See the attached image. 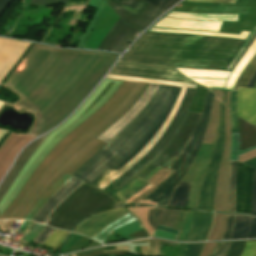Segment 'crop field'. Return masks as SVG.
<instances>
[{"label": "crop field", "instance_id": "30", "mask_svg": "<svg viewBox=\"0 0 256 256\" xmlns=\"http://www.w3.org/2000/svg\"><path fill=\"white\" fill-rule=\"evenodd\" d=\"M256 71V56L253 58V60L250 62V64L247 66V68L242 73L240 79L237 81L235 85V89L237 87H246L247 83L249 82L250 78Z\"/></svg>", "mask_w": 256, "mask_h": 256}, {"label": "crop field", "instance_id": "20", "mask_svg": "<svg viewBox=\"0 0 256 256\" xmlns=\"http://www.w3.org/2000/svg\"><path fill=\"white\" fill-rule=\"evenodd\" d=\"M162 167L158 166L155 170H153L149 175H147L145 178L141 179V178H136L133 181H131L129 184H127L125 187H123L121 190H119L117 193H115L122 201H126L128 198H130L132 195H134L135 193H137L139 190H141L143 187H145L146 185L150 186L151 185L149 183H147L146 181L155 173L157 172L159 169H161ZM156 174V173H155ZM149 187H145L143 188L141 191H139L137 194H135L134 196H132L130 199H128L126 202H130L131 200H133L135 197H137L139 194H141L143 191H145L146 189H148Z\"/></svg>", "mask_w": 256, "mask_h": 256}, {"label": "crop field", "instance_id": "41", "mask_svg": "<svg viewBox=\"0 0 256 256\" xmlns=\"http://www.w3.org/2000/svg\"><path fill=\"white\" fill-rule=\"evenodd\" d=\"M251 212L256 215V169H254L253 183H252V199Z\"/></svg>", "mask_w": 256, "mask_h": 256}, {"label": "crop field", "instance_id": "47", "mask_svg": "<svg viewBox=\"0 0 256 256\" xmlns=\"http://www.w3.org/2000/svg\"><path fill=\"white\" fill-rule=\"evenodd\" d=\"M230 120H231V129L232 133H238V122L237 116L230 112Z\"/></svg>", "mask_w": 256, "mask_h": 256}, {"label": "crop field", "instance_id": "38", "mask_svg": "<svg viewBox=\"0 0 256 256\" xmlns=\"http://www.w3.org/2000/svg\"><path fill=\"white\" fill-rule=\"evenodd\" d=\"M163 10L169 9L173 4H175L178 0H145Z\"/></svg>", "mask_w": 256, "mask_h": 256}, {"label": "crop field", "instance_id": "48", "mask_svg": "<svg viewBox=\"0 0 256 256\" xmlns=\"http://www.w3.org/2000/svg\"><path fill=\"white\" fill-rule=\"evenodd\" d=\"M248 238H256V218L252 217Z\"/></svg>", "mask_w": 256, "mask_h": 256}, {"label": "crop field", "instance_id": "9", "mask_svg": "<svg viewBox=\"0 0 256 256\" xmlns=\"http://www.w3.org/2000/svg\"><path fill=\"white\" fill-rule=\"evenodd\" d=\"M110 74L161 79L168 81L190 82L170 67L138 65L117 62ZM192 83V82H190Z\"/></svg>", "mask_w": 256, "mask_h": 256}, {"label": "crop field", "instance_id": "8", "mask_svg": "<svg viewBox=\"0 0 256 256\" xmlns=\"http://www.w3.org/2000/svg\"><path fill=\"white\" fill-rule=\"evenodd\" d=\"M112 10L126 23L143 30L151 21L165 12L143 0H109Z\"/></svg>", "mask_w": 256, "mask_h": 256}, {"label": "crop field", "instance_id": "15", "mask_svg": "<svg viewBox=\"0 0 256 256\" xmlns=\"http://www.w3.org/2000/svg\"><path fill=\"white\" fill-rule=\"evenodd\" d=\"M49 134V133H48ZM44 135L37 139L32 144L28 145L23 152L20 154L12 168L10 169L9 173L3 180V182L0 185V200L4 197L14 180L16 179L17 175L31 156V154L35 151V149L40 145V143L46 138L48 135Z\"/></svg>", "mask_w": 256, "mask_h": 256}, {"label": "crop field", "instance_id": "17", "mask_svg": "<svg viewBox=\"0 0 256 256\" xmlns=\"http://www.w3.org/2000/svg\"><path fill=\"white\" fill-rule=\"evenodd\" d=\"M79 184L80 181L72 177L42 206V208L33 217L32 221L42 223L53 211V209L58 205V203L63 198H65L71 191H73Z\"/></svg>", "mask_w": 256, "mask_h": 256}, {"label": "crop field", "instance_id": "24", "mask_svg": "<svg viewBox=\"0 0 256 256\" xmlns=\"http://www.w3.org/2000/svg\"><path fill=\"white\" fill-rule=\"evenodd\" d=\"M237 161H230L228 170V212L235 208V175Z\"/></svg>", "mask_w": 256, "mask_h": 256}, {"label": "crop field", "instance_id": "36", "mask_svg": "<svg viewBox=\"0 0 256 256\" xmlns=\"http://www.w3.org/2000/svg\"><path fill=\"white\" fill-rule=\"evenodd\" d=\"M161 244L172 245V246L175 245L173 243H169V242H165V241H161V240H153V239H151L150 245H149V253H148V255H150V256H159Z\"/></svg>", "mask_w": 256, "mask_h": 256}, {"label": "crop field", "instance_id": "63", "mask_svg": "<svg viewBox=\"0 0 256 256\" xmlns=\"http://www.w3.org/2000/svg\"><path fill=\"white\" fill-rule=\"evenodd\" d=\"M150 29H151V28H150ZM147 31H148V30H147ZM149 32H151V31H149ZM250 34H251V32L249 33V35L247 36V38L250 36ZM247 38H246V39H247ZM246 39H245V40H246Z\"/></svg>", "mask_w": 256, "mask_h": 256}, {"label": "crop field", "instance_id": "64", "mask_svg": "<svg viewBox=\"0 0 256 256\" xmlns=\"http://www.w3.org/2000/svg\"><path fill=\"white\" fill-rule=\"evenodd\" d=\"M254 87H256V84H255V86Z\"/></svg>", "mask_w": 256, "mask_h": 256}, {"label": "crop field", "instance_id": "32", "mask_svg": "<svg viewBox=\"0 0 256 256\" xmlns=\"http://www.w3.org/2000/svg\"><path fill=\"white\" fill-rule=\"evenodd\" d=\"M204 243L185 244L180 252L182 256H198ZM179 255V256H180Z\"/></svg>", "mask_w": 256, "mask_h": 256}, {"label": "crop field", "instance_id": "31", "mask_svg": "<svg viewBox=\"0 0 256 256\" xmlns=\"http://www.w3.org/2000/svg\"><path fill=\"white\" fill-rule=\"evenodd\" d=\"M193 213H194V211H187L186 212L183 227H182L181 233L178 236L177 240L187 241L188 235H189V230H190L192 219H193Z\"/></svg>", "mask_w": 256, "mask_h": 256}, {"label": "crop field", "instance_id": "37", "mask_svg": "<svg viewBox=\"0 0 256 256\" xmlns=\"http://www.w3.org/2000/svg\"><path fill=\"white\" fill-rule=\"evenodd\" d=\"M246 241L232 242L228 253L225 256H240Z\"/></svg>", "mask_w": 256, "mask_h": 256}, {"label": "crop field", "instance_id": "3", "mask_svg": "<svg viewBox=\"0 0 256 256\" xmlns=\"http://www.w3.org/2000/svg\"><path fill=\"white\" fill-rule=\"evenodd\" d=\"M116 202L110 195L83 182L55 209L45 224L70 231L84 217Z\"/></svg>", "mask_w": 256, "mask_h": 256}, {"label": "crop field", "instance_id": "22", "mask_svg": "<svg viewBox=\"0 0 256 256\" xmlns=\"http://www.w3.org/2000/svg\"><path fill=\"white\" fill-rule=\"evenodd\" d=\"M132 214V213H131ZM129 212L127 214H125L124 216H122L121 218H119L118 220L114 221L113 223H111L110 225L106 226L105 228H103L101 231H99L97 234H95L93 237V239L99 241V242H103V240L109 235L111 234L113 231V229H116L126 223H129L133 220L138 219L135 215H131Z\"/></svg>", "mask_w": 256, "mask_h": 256}, {"label": "crop field", "instance_id": "28", "mask_svg": "<svg viewBox=\"0 0 256 256\" xmlns=\"http://www.w3.org/2000/svg\"><path fill=\"white\" fill-rule=\"evenodd\" d=\"M106 4V1L105 0H101L100 2V5L98 7V9L96 10V12L94 13L93 17L91 18V20L89 21L87 27L85 28L82 36L80 37L76 47H79V48H82L83 45L85 44L87 38L89 37L94 25L97 23L103 9H104V6Z\"/></svg>", "mask_w": 256, "mask_h": 256}, {"label": "crop field", "instance_id": "19", "mask_svg": "<svg viewBox=\"0 0 256 256\" xmlns=\"http://www.w3.org/2000/svg\"><path fill=\"white\" fill-rule=\"evenodd\" d=\"M181 87H178L177 92L171 102V104L169 105L166 113L164 114V116L162 117V119L160 120V122L158 123V125L154 128V130L146 137V139L127 157L125 158L121 163H119L116 167H114L112 170H110L106 175L109 177L111 176L113 173H115L117 170H119L123 165H125L132 157H134L149 141L150 139L157 133L159 127L162 125V123L165 121V119L168 117L174 103L175 100L179 94ZM161 128V127H160ZM108 177L104 176L102 177L99 181H97L95 184H93L94 186H98L99 184H101L103 181H105Z\"/></svg>", "mask_w": 256, "mask_h": 256}, {"label": "crop field", "instance_id": "62", "mask_svg": "<svg viewBox=\"0 0 256 256\" xmlns=\"http://www.w3.org/2000/svg\"><path fill=\"white\" fill-rule=\"evenodd\" d=\"M170 12H171V11H170ZM170 12H168L167 14H169ZM167 14H166V15H167ZM166 15H164V16H166ZM164 16H163V17H164ZM163 17H162V18H163ZM162 18H160L157 22H159ZM157 22H156V23H157ZM156 23H155V24H156ZM155 24H154V25H155ZM154 25H153V26H154Z\"/></svg>", "mask_w": 256, "mask_h": 256}, {"label": "crop field", "instance_id": "57", "mask_svg": "<svg viewBox=\"0 0 256 256\" xmlns=\"http://www.w3.org/2000/svg\"><path fill=\"white\" fill-rule=\"evenodd\" d=\"M255 54H256V52L254 53V55H255ZM254 55H253V56H254ZM253 56L251 57V59L253 58ZM251 59L248 61V63L251 61ZM248 63L245 65L244 69L246 68V66L248 65ZM244 69H243V70H244ZM243 70H242V72H243ZM177 71L180 72L179 70H177ZM242 72H241V73H242ZM180 73H181V72H180ZM241 73H240V75H241ZM230 74H231V73H230ZM240 75H239V76H240ZM229 76H230V75H229ZM228 78H229V77H228ZM212 79H213V78H212ZM227 80H228V79H227ZM192 81H193V80H192ZM195 83H196V82H195ZM201 86H202V85H201ZM209 89H216V88H209ZM233 89H234V88H233ZM217 90H223V89H217ZM226 91H230V90H226Z\"/></svg>", "mask_w": 256, "mask_h": 256}, {"label": "crop field", "instance_id": "51", "mask_svg": "<svg viewBox=\"0 0 256 256\" xmlns=\"http://www.w3.org/2000/svg\"><path fill=\"white\" fill-rule=\"evenodd\" d=\"M256 33L253 35V37L250 39V41L248 42V44L245 46V48L242 50V52L240 53V55L237 57V59L235 60V62L232 64V66L229 68V70L231 71V69L234 67V65L237 63V61L239 60V58L242 56V54L245 52V50L247 49V47L250 45V43L252 42V40L255 38Z\"/></svg>", "mask_w": 256, "mask_h": 256}, {"label": "crop field", "instance_id": "34", "mask_svg": "<svg viewBox=\"0 0 256 256\" xmlns=\"http://www.w3.org/2000/svg\"><path fill=\"white\" fill-rule=\"evenodd\" d=\"M139 230H142V227L141 225L139 224L138 220L136 221H133L123 227H120L116 230H114V232L124 236V235H127L129 233H133V232H136V231H139Z\"/></svg>", "mask_w": 256, "mask_h": 256}, {"label": "crop field", "instance_id": "42", "mask_svg": "<svg viewBox=\"0 0 256 256\" xmlns=\"http://www.w3.org/2000/svg\"><path fill=\"white\" fill-rule=\"evenodd\" d=\"M45 227V225L38 224L33 230H31L23 239V241L31 242Z\"/></svg>", "mask_w": 256, "mask_h": 256}, {"label": "crop field", "instance_id": "52", "mask_svg": "<svg viewBox=\"0 0 256 256\" xmlns=\"http://www.w3.org/2000/svg\"><path fill=\"white\" fill-rule=\"evenodd\" d=\"M11 0H0V16L5 10V8L8 6Z\"/></svg>", "mask_w": 256, "mask_h": 256}, {"label": "crop field", "instance_id": "49", "mask_svg": "<svg viewBox=\"0 0 256 256\" xmlns=\"http://www.w3.org/2000/svg\"><path fill=\"white\" fill-rule=\"evenodd\" d=\"M230 110H232L234 113H236V91H231Z\"/></svg>", "mask_w": 256, "mask_h": 256}, {"label": "crop field", "instance_id": "18", "mask_svg": "<svg viewBox=\"0 0 256 256\" xmlns=\"http://www.w3.org/2000/svg\"><path fill=\"white\" fill-rule=\"evenodd\" d=\"M212 214L195 212L188 241L205 240L210 229Z\"/></svg>", "mask_w": 256, "mask_h": 256}, {"label": "crop field", "instance_id": "46", "mask_svg": "<svg viewBox=\"0 0 256 256\" xmlns=\"http://www.w3.org/2000/svg\"><path fill=\"white\" fill-rule=\"evenodd\" d=\"M153 236L154 237H163V238L174 240L176 235L172 234V233H169V232H166V231L156 229Z\"/></svg>", "mask_w": 256, "mask_h": 256}, {"label": "crop field", "instance_id": "43", "mask_svg": "<svg viewBox=\"0 0 256 256\" xmlns=\"http://www.w3.org/2000/svg\"><path fill=\"white\" fill-rule=\"evenodd\" d=\"M230 243L231 242L219 243L216 250L214 251V253L211 256H224L230 246Z\"/></svg>", "mask_w": 256, "mask_h": 256}, {"label": "crop field", "instance_id": "58", "mask_svg": "<svg viewBox=\"0 0 256 256\" xmlns=\"http://www.w3.org/2000/svg\"><path fill=\"white\" fill-rule=\"evenodd\" d=\"M159 229H163V230H167V231H170V232H173V233H178V230H174V229H170V228H166V227H163V226H159L158 227Z\"/></svg>", "mask_w": 256, "mask_h": 256}, {"label": "crop field", "instance_id": "27", "mask_svg": "<svg viewBox=\"0 0 256 256\" xmlns=\"http://www.w3.org/2000/svg\"><path fill=\"white\" fill-rule=\"evenodd\" d=\"M251 217L236 216L231 239L247 238Z\"/></svg>", "mask_w": 256, "mask_h": 256}, {"label": "crop field", "instance_id": "23", "mask_svg": "<svg viewBox=\"0 0 256 256\" xmlns=\"http://www.w3.org/2000/svg\"><path fill=\"white\" fill-rule=\"evenodd\" d=\"M184 213L185 211L167 209L159 224L179 230L183 223Z\"/></svg>", "mask_w": 256, "mask_h": 256}, {"label": "crop field", "instance_id": "1", "mask_svg": "<svg viewBox=\"0 0 256 256\" xmlns=\"http://www.w3.org/2000/svg\"><path fill=\"white\" fill-rule=\"evenodd\" d=\"M244 41L145 32L120 60L226 70Z\"/></svg>", "mask_w": 256, "mask_h": 256}, {"label": "crop field", "instance_id": "60", "mask_svg": "<svg viewBox=\"0 0 256 256\" xmlns=\"http://www.w3.org/2000/svg\"><path fill=\"white\" fill-rule=\"evenodd\" d=\"M28 223H29V222L25 221V223H24L19 229L24 228L25 226L28 225Z\"/></svg>", "mask_w": 256, "mask_h": 256}, {"label": "crop field", "instance_id": "13", "mask_svg": "<svg viewBox=\"0 0 256 256\" xmlns=\"http://www.w3.org/2000/svg\"><path fill=\"white\" fill-rule=\"evenodd\" d=\"M30 44L0 38V82Z\"/></svg>", "mask_w": 256, "mask_h": 256}, {"label": "crop field", "instance_id": "65", "mask_svg": "<svg viewBox=\"0 0 256 256\" xmlns=\"http://www.w3.org/2000/svg\"><path fill=\"white\" fill-rule=\"evenodd\" d=\"M108 1V0H107ZM121 1V0H120Z\"/></svg>", "mask_w": 256, "mask_h": 256}, {"label": "crop field", "instance_id": "12", "mask_svg": "<svg viewBox=\"0 0 256 256\" xmlns=\"http://www.w3.org/2000/svg\"><path fill=\"white\" fill-rule=\"evenodd\" d=\"M253 169L238 162L236 177V212L250 214Z\"/></svg>", "mask_w": 256, "mask_h": 256}, {"label": "crop field", "instance_id": "61", "mask_svg": "<svg viewBox=\"0 0 256 256\" xmlns=\"http://www.w3.org/2000/svg\"><path fill=\"white\" fill-rule=\"evenodd\" d=\"M226 92L224 91L223 104L225 105Z\"/></svg>", "mask_w": 256, "mask_h": 256}, {"label": "crop field", "instance_id": "14", "mask_svg": "<svg viewBox=\"0 0 256 256\" xmlns=\"http://www.w3.org/2000/svg\"><path fill=\"white\" fill-rule=\"evenodd\" d=\"M128 210L125 208H116L108 211H104L101 213H98L94 215L93 217L85 220L82 222L76 229L75 233L84 234L89 237L94 235L96 232H98L100 229H102L107 224L113 222L117 218L121 217L125 213H127Z\"/></svg>", "mask_w": 256, "mask_h": 256}, {"label": "crop field", "instance_id": "7", "mask_svg": "<svg viewBox=\"0 0 256 256\" xmlns=\"http://www.w3.org/2000/svg\"><path fill=\"white\" fill-rule=\"evenodd\" d=\"M224 111H225V106L221 103L218 132H217V136H216V140L214 143L210 160L207 164V167L205 169L204 175L201 180L195 208L213 210L215 181L217 177V172H218L221 154L223 150V144H224V134H225Z\"/></svg>", "mask_w": 256, "mask_h": 256}, {"label": "crop field", "instance_id": "50", "mask_svg": "<svg viewBox=\"0 0 256 256\" xmlns=\"http://www.w3.org/2000/svg\"><path fill=\"white\" fill-rule=\"evenodd\" d=\"M185 1H197V2H206L210 3V1H217V0H185ZM236 0H227V1H218V2H211V3H235Z\"/></svg>", "mask_w": 256, "mask_h": 256}, {"label": "crop field", "instance_id": "33", "mask_svg": "<svg viewBox=\"0 0 256 256\" xmlns=\"http://www.w3.org/2000/svg\"><path fill=\"white\" fill-rule=\"evenodd\" d=\"M164 211L165 209H162V208H154L149 211L148 213L149 224L154 231Z\"/></svg>", "mask_w": 256, "mask_h": 256}, {"label": "crop field", "instance_id": "40", "mask_svg": "<svg viewBox=\"0 0 256 256\" xmlns=\"http://www.w3.org/2000/svg\"><path fill=\"white\" fill-rule=\"evenodd\" d=\"M234 220H235V216L228 215L227 224H226V228H225V232L222 240L230 239L233 225H234Z\"/></svg>", "mask_w": 256, "mask_h": 256}, {"label": "crop field", "instance_id": "59", "mask_svg": "<svg viewBox=\"0 0 256 256\" xmlns=\"http://www.w3.org/2000/svg\"><path fill=\"white\" fill-rule=\"evenodd\" d=\"M2 105H3V103L0 102V108L2 107ZM2 132H3V131L0 130V134H1ZM8 132H9L8 130H5V131L0 135V140H1V138H2L6 133H8Z\"/></svg>", "mask_w": 256, "mask_h": 256}, {"label": "crop field", "instance_id": "2", "mask_svg": "<svg viewBox=\"0 0 256 256\" xmlns=\"http://www.w3.org/2000/svg\"><path fill=\"white\" fill-rule=\"evenodd\" d=\"M177 87L160 85L148 105L72 176L91 183L129 155L157 125ZM108 170L97 178L100 179ZM91 183V185L93 184Z\"/></svg>", "mask_w": 256, "mask_h": 256}, {"label": "crop field", "instance_id": "55", "mask_svg": "<svg viewBox=\"0 0 256 256\" xmlns=\"http://www.w3.org/2000/svg\"><path fill=\"white\" fill-rule=\"evenodd\" d=\"M87 0H68L67 4L86 3Z\"/></svg>", "mask_w": 256, "mask_h": 256}, {"label": "crop field", "instance_id": "56", "mask_svg": "<svg viewBox=\"0 0 256 256\" xmlns=\"http://www.w3.org/2000/svg\"><path fill=\"white\" fill-rule=\"evenodd\" d=\"M255 81H256V72H255V74L253 75L251 81L248 83V86H247V87H253L254 84H255Z\"/></svg>", "mask_w": 256, "mask_h": 256}, {"label": "crop field", "instance_id": "4", "mask_svg": "<svg viewBox=\"0 0 256 256\" xmlns=\"http://www.w3.org/2000/svg\"><path fill=\"white\" fill-rule=\"evenodd\" d=\"M213 97L214 94L211 91H208L202 115L196 128L189 137L183 149L168 167V169L176 172L144 200L158 202L157 205L168 206L169 200L175 188L189 170L191 163L199 150L208 125Z\"/></svg>", "mask_w": 256, "mask_h": 256}, {"label": "crop field", "instance_id": "11", "mask_svg": "<svg viewBox=\"0 0 256 256\" xmlns=\"http://www.w3.org/2000/svg\"><path fill=\"white\" fill-rule=\"evenodd\" d=\"M141 31L125 24L120 18L98 49L122 52Z\"/></svg>", "mask_w": 256, "mask_h": 256}, {"label": "crop field", "instance_id": "44", "mask_svg": "<svg viewBox=\"0 0 256 256\" xmlns=\"http://www.w3.org/2000/svg\"><path fill=\"white\" fill-rule=\"evenodd\" d=\"M53 231L52 228L46 226L44 230L33 240V242L41 244Z\"/></svg>", "mask_w": 256, "mask_h": 256}, {"label": "crop field", "instance_id": "53", "mask_svg": "<svg viewBox=\"0 0 256 256\" xmlns=\"http://www.w3.org/2000/svg\"><path fill=\"white\" fill-rule=\"evenodd\" d=\"M243 164L245 165H248V166H251L253 168H256V158L252 159V160H249V161H246L244 162Z\"/></svg>", "mask_w": 256, "mask_h": 256}, {"label": "crop field", "instance_id": "35", "mask_svg": "<svg viewBox=\"0 0 256 256\" xmlns=\"http://www.w3.org/2000/svg\"><path fill=\"white\" fill-rule=\"evenodd\" d=\"M238 147H239L238 134H232V150H231L230 160H237L238 155L256 148L255 146V147H251L246 150H243L241 152H238Z\"/></svg>", "mask_w": 256, "mask_h": 256}, {"label": "crop field", "instance_id": "6", "mask_svg": "<svg viewBox=\"0 0 256 256\" xmlns=\"http://www.w3.org/2000/svg\"><path fill=\"white\" fill-rule=\"evenodd\" d=\"M194 90L195 89H191V88L186 89L184 96L181 100V103L169 127L166 129L163 135L159 138L156 144L139 161H137L134 165H132L129 169H127L124 173H122L119 177H117L114 180V183L112 186L113 189L121 187L125 185L127 182L134 179L146 168H148L151 165V163L161 155V153L163 152L167 144L173 138L178 127L180 126L187 112Z\"/></svg>", "mask_w": 256, "mask_h": 256}, {"label": "crop field", "instance_id": "16", "mask_svg": "<svg viewBox=\"0 0 256 256\" xmlns=\"http://www.w3.org/2000/svg\"><path fill=\"white\" fill-rule=\"evenodd\" d=\"M237 115L256 125V88H238Z\"/></svg>", "mask_w": 256, "mask_h": 256}, {"label": "crop field", "instance_id": "29", "mask_svg": "<svg viewBox=\"0 0 256 256\" xmlns=\"http://www.w3.org/2000/svg\"><path fill=\"white\" fill-rule=\"evenodd\" d=\"M66 235L67 232L56 230L41 246L56 251Z\"/></svg>", "mask_w": 256, "mask_h": 256}, {"label": "crop field", "instance_id": "45", "mask_svg": "<svg viewBox=\"0 0 256 256\" xmlns=\"http://www.w3.org/2000/svg\"><path fill=\"white\" fill-rule=\"evenodd\" d=\"M67 0H32L30 3L34 4H44V5H53L56 3L66 4Z\"/></svg>", "mask_w": 256, "mask_h": 256}, {"label": "crop field", "instance_id": "21", "mask_svg": "<svg viewBox=\"0 0 256 256\" xmlns=\"http://www.w3.org/2000/svg\"><path fill=\"white\" fill-rule=\"evenodd\" d=\"M239 121L240 150L256 145V127L242 121Z\"/></svg>", "mask_w": 256, "mask_h": 256}, {"label": "crop field", "instance_id": "25", "mask_svg": "<svg viewBox=\"0 0 256 256\" xmlns=\"http://www.w3.org/2000/svg\"><path fill=\"white\" fill-rule=\"evenodd\" d=\"M71 176L64 175L57 183H55L51 189L39 200L31 212L26 216V220H31L35 213L40 209V207L64 184Z\"/></svg>", "mask_w": 256, "mask_h": 256}, {"label": "crop field", "instance_id": "5", "mask_svg": "<svg viewBox=\"0 0 256 256\" xmlns=\"http://www.w3.org/2000/svg\"><path fill=\"white\" fill-rule=\"evenodd\" d=\"M106 78L109 79H118V80H127V81H137V82H146V83H155V84H165V85H174V86H185V87H192L195 88V84L189 83H177V82H168V81H160V80H153V79H144V78H134V77H123V76H113L108 75ZM150 84L148 89L145 93L141 96V98L136 102V104L119 120H117L114 124H112L108 129H106L98 138L108 142L113 136H115L125 125H127L149 102L155 91L157 90L159 85ZM186 88L182 87L180 94L177 98V101L166 121L163 123L161 128L159 129L158 133L152 138L149 144L140 151L133 159H131L125 166H123L118 172L114 175L109 177L103 184L99 187L104 188L108 185L112 180H114L117 176H119L122 172H124L127 168H129L132 164H134L137 160H139L157 141V139L161 136L165 128L167 127L168 123L170 122L171 118L173 117L179 102L183 96V93Z\"/></svg>", "mask_w": 256, "mask_h": 256}, {"label": "crop field", "instance_id": "26", "mask_svg": "<svg viewBox=\"0 0 256 256\" xmlns=\"http://www.w3.org/2000/svg\"><path fill=\"white\" fill-rule=\"evenodd\" d=\"M189 187L190 184L181 181V183L176 188L169 205L186 207Z\"/></svg>", "mask_w": 256, "mask_h": 256}, {"label": "crop field", "instance_id": "54", "mask_svg": "<svg viewBox=\"0 0 256 256\" xmlns=\"http://www.w3.org/2000/svg\"><path fill=\"white\" fill-rule=\"evenodd\" d=\"M99 2H100V0H91L90 3H89V7H92V8L96 9Z\"/></svg>", "mask_w": 256, "mask_h": 256}, {"label": "crop field", "instance_id": "10", "mask_svg": "<svg viewBox=\"0 0 256 256\" xmlns=\"http://www.w3.org/2000/svg\"><path fill=\"white\" fill-rule=\"evenodd\" d=\"M199 115L200 114H197V113H191V112L188 113L180 130L175 135L173 140L170 142V144L168 145L164 153L159 157V159L153 165H151L145 172H143L140 175V177L143 178L148 173H150L154 168H156L158 165H161L167 168V166L179 153V151L187 141L188 137L192 133Z\"/></svg>", "mask_w": 256, "mask_h": 256}, {"label": "crop field", "instance_id": "39", "mask_svg": "<svg viewBox=\"0 0 256 256\" xmlns=\"http://www.w3.org/2000/svg\"><path fill=\"white\" fill-rule=\"evenodd\" d=\"M241 256H256V240L247 241Z\"/></svg>", "mask_w": 256, "mask_h": 256}]
</instances>
